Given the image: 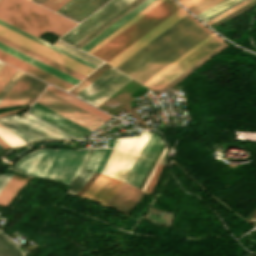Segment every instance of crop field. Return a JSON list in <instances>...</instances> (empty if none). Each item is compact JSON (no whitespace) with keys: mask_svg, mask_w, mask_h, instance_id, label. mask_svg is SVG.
I'll list each match as a JSON object with an SVG mask.
<instances>
[{"mask_svg":"<svg viewBox=\"0 0 256 256\" xmlns=\"http://www.w3.org/2000/svg\"><path fill=\"white\" fill-rule=\"evenodd\" d=\"M106 149L95 150L92 157L90 158L86 169L96 171Z\"/></svg>","mask_w":256,"mask_h":256,"instance_id":"120bbe31","label":"crop field"},{"mask_svg":"<svg viewBox=\"0 0 256 256\" xmlns=\"http://www.w3.org/2000/svg\"><path fill=\"white\" fill-rule=\"evenodd\" d=\"M0 36H3L17 44H20L34 52H37L51 60H54L68 68H71L85 76L89 75L93 69L76 62L60 53H57L43 45H40L26 37H23L7 28L0 26Z\"/></svg>","mask_w":256,"mask_h":256,"instance_id":"3316defc","label":"crop field"},{"mask_svg":"<svg viewBox=\"0 0 256 256\" xmlns=\"http://www.w3.org/2000/svg\"><path fill=\"white\" fill-rule=\"evenodd\" d=\"M54 45H56V46H58V47H60V48H62L64 50H66V51H68V52H70V53H72L74 55H77V56H79V57H81V58H83V59H85V60H87V61H89V62H91V63H93L95 65H97V66H99L100 64L103 63L102 61H100V60H98V59H96L94 57H91V56H89V55H87V54H85L83 52H80V51H78V50H76V49H74V48H72L70 46H67V45H65V44H63V43H61L59 41L54 43Z\"/></svg>","mask_w":256,"mask_h":256,"instance_id":"bd1437ed","label":"crop field"},{"mask_svg":"<svg viewBox=\"0 0 256 256\" xmlns=\"http://www.w3.org/2000/svg\"><path fill=\"white\" fill-rule=\"evenodd\" d=\"M13 175L10 173L0 174V191L7 184Z\"/></svg>","mask_w":256,"mask_h":256,"instance_id":"b80d0937","label":"crop field"},{"mask_svg":"<svg viewBox=\"0 0 256 256\" xmlns=\"http://www.w3.org/2000/svg\"><path fill=\"white\" fill-rule=\"evenodd\" d=\"M242 1L244 0H224L196 16L205 22Z\"/></svg>","mask_w":256,"mask_h":256,"instance_id":"4177f3b9","label":"crop field"},{"mask_svg":"<svg viewBox=\"0 0 256 256\" xmlns=\"http://www.w3.org/2000/svg\"><path fill=\"white\" fill-rule=\"evenodd\" d=\"M114 142H115V139L108 140L106 153H105V155H104V157H103V159H102V161H101V163H100V165H99V167H98L96 172H100L101 173V171H102V169H103V167H104V165H105V163L107 161V158H108V156H109V154H110V152H111V150H112V148L114 146Z\"/></svg>","mask_w":256,"mask_h":256,"instance_id":"0bd39190","label":"crop field"},{"mask_svg":"<svg viewBox=\"0 0 256 256\" xmlns=\"http://www.w3.org/2000/svg\"><path fill=\"white\" fill-rule=\"evenodd\" d=\"M150 136L151 133L142 130L139 136L117 139L102 174L124 181ZM102 174L84 192L82 198L105 205L124 183Z\"/></svg>","mask_w":256,"mask_h":256,"instance_id":"ac0d7876","label":"crop field"},{"mask_svg":"<svg viewBox=\"0 0 256 256\" xmlns=\"http://www.w3.org/2000/svg\"><path fill=\"white\" fill-rule=\"evenodd\" d=\"M0 150H2V148L0 147Z\"/></svg>","mask_w":256,"mask_h":256,"instance_id":"5d738f31","label":"crop field"},{"mask_svg":"<svg viewBox=\"0 0 256 256\" xmlns=\"http://www.w3.org/2000/svg\"><path fill=\"white\" fill-rule=\"evenodd\" d=\"M108 68H110V66L104 64L69 92L76 96L84 88H86L90 83H92L96 78H98L102 73H104Z\"/></svg>","mask_w":256,"mask_h":256,"instance_id":"d3111659","label":"crop field"},{"mask_svg":"<svg viewBox=\"0 0 256 256\" xmlns=\"http://www.w3.org/2000/svg\"><path fill=\"white\" fill-rule=\"evenodd\" d=\"M163 0H157L153 4H151L149 7H147L145 10H143L141 13H139L137 16H135L133 19H131L129 22H127L125 25H123L121 28H119L117 31H115L113 34H111L109 37H107L105 40H103L101 43H99L97 46H95L93 49H91L88 53H93L95 50H97L99 47H101L103 44L108 42L110 39H112L114 36H116L118 33L123 31L125 28H127L129 25H131L133 22H135L137 19L142 17L144 14H146L148 11H150L152 8L157 6L159 3H161Z\"/></svg>","mask_w":256,"mask_h":256,"instance_id":"ae1a2a85","label":"crop field"},{"mask_svg":"<svg viewBox=\"0 0 256 256\" xmlns=\"http://www.w3.org/2000/svg\"><path fill=\"white\" fill-rule=\"evenodd\" d=\"M179 8L181 7L177 6L172 0L163 1L92 55L104 61H110Z\"/></svg>","mask_w":256,"mask_h":256,"instance_id":"412701ff","label":"crop field"},{"mask_svg":"<svg viewBox=\"0 0 256 256\" xmlns=\"http://www.w3.org/2000/svg\"><path fill=\"white\" fill-rule=\"evenodd\" d=\"M36 102L54 110L55 112L92 131L105 122L46 90L42 93Z\"/></svg>","mask_w":256,"mask_h":256,"instance_id":"d8731c3e","label":"crop field"},{"mask_svg":"<svg viewBox=\"0 0 256 256\" xmlns=\"http://www.w3.org/2000/svg\"><path fill=\"white\" fill-rule=\"evenodd\" d=\"M25 117L9 116L0 119V124L26 142L38 139H73V137L24 113Z\"/></svg>","mask_w":256,"mask_h":256,"instance_id":"dd49c442","label":"crop field"},{"mask_svg":"<svg viewBox=\"0 0 256 256\" xmlns=\"http://www.w3.org/2000/svg\"><path fill=\"white\" fill-rule=\"evenodd\" d=\"M68 151L65 149H39L18 160L14 167L30 176L53 180L60 171Z\"/></svg>","mask_w":256,"mask_h":256,"instance_id":"f4fd0767","label":"crop field"},{"mask_svg":"<svg viewBox=\"0 0 256 256\" xmlns=\"http://www.w3.org/2000/svg\"><path fill=\"white\" fill-rule=\"evenodd\" d=\"M89 151H70L61 171L55 177L54 181L70 184L81 170Z\"/></svg>","mask_w":256,"mask_h":256,"instance_id":"4a817a6b","label":"crop field"},{"mask_svg":"<svg viewBox=\"0 0 256 256\" xmlns=\"http://www.w3.org/2000/svg\"><path fill=\"white\" fill-rule=\"evenodd\" d=\"M210 33L188 14L116 68L143 84Z\"/></svg>","mask_w":256,"mask_h":256,"instance_id":"8a807250","label":"crop field"},{"mask_svg":"<svg viewBox=\"0 0 256 256\" xmlns=\"http://www.w3.org/2000/svg\"><path fill=\"white\" fill-rule=\"evenodd\" d=\"M154 1L155 0H144L139 5L130 10L128 13H126L124 16H122L120 19H118L116 22H114L112 25H110L108 28H106L104 31H102L85 45H83L80 49L87 52Z\"/></svg>","mask_w":256,"mask_h":256,"instance_id":"bc2a9ffb","label":"crop field"},{"mask_svg":"<svg viewBox=\"0 0 256 256\" xmlns=\"http://www.w3.org/2000/svg\"><path fill=\"white\" fill-rule=\"evenodd\" d=\"M0 60L4 61L10 65H13L29 74H32L46 82H49L65 91H69L71 88L74 87V85H72L58 77H55L39 68H36L18 58H15L1 50H0Z\"/></svg>","mask_w":256,"mask_h":256,"instance_id":"d9b57169","label":"crop field"},{"mask_svg":"<svg viewBox=\"0 0 256 256\" xmlns=\"http://www.w3.org/2000/svg\"><path fill=\"white\" fill-rule=\"evenodd\" d=\"M28 179L13 176L8 184L0 192V204L8 207L16 195L23 188Z\"/></svg>","mask_w":256,"mask_h":256,"instance_id":"92a150f3","label":"crop field"},{"mask_svg":"<svg viewBox=\"0 0 256 256\" xmlns=\"http://www.w3.org/2000/svg\"><path fill=\"white\" fill-rule=\"evenodd\" d=\"M4 63L0 62V69L3 67Z\"/></svg>","mask_w":256,"mask_h":256,"instance_id":"b54c1fbb","label":"crop field"},{"mask_svg":"<svg viewBox=\"0 0 256 256\" xmlns=\"http://www.w3.org/2000/svg\"><path fill=\"white\" fill-rule=\"evenodd\" d=\"M0 256H25V255L19 247L9 242L0 233Z\"/></svg>","mask_w":256,"mask_h":256,"instance_id":"eef30255","label":"crop field"},{"mask_svg":"<svg viewBox=\"0 0 256 256\" xmlns=\"http://www.w3.org/2000/svg\"><path fill=\"white\" fill-rule=\"evenodd\" d=\"M0 146H1L3 149L10 147V146L7 145L1 138H0Z\"/></svg>","mask_w":256,"mask_h":256,"instance_id":"03da06ac","label":"crop field"},{"mask_svg":"<svg viewBox=\"0 0 256 256\" xmlns=\"http://www.w3.org/2000/svg\"><path fill=\"white\" fill-rule=\"evenodd\" d=\"M23 72L17 70L16 73L12 76L9 82L5 85V87L0 92V102L5 97V95L9 92V90L14 86V84L18 81V79L22 76Z\"/></svg>","mask_w":256,"mask_h":256,"instance_id":"5866460e","label":"crop field"},{"mask_svg":"<svg viewBox=\"0 0 256 256\" xmlns=\"http://www.w3.org/2000/svg\"><path fill=\"white\" fill-rule=\"evenodd\" d=\"M222 43H224V42L221 38H219L217 35L214 36L212 39H210L208 42H206L204 45H202L200 48H198L196 51H194L192 54H190L184 60L179 62L177 65H175L173 68H171L169 71H167L165 74H163L161 77H159L157 80H155L153 83H151L147 87H149L151 89L163 88L165 85H167L173 79L178 77L180 74H182L188 68L193 66L195 63H197L199 60H201L207 54H209L214 49H216L218 46H220Z\"/></svg>","mask_w":256,"mask_h":256,"instance_id":"28ad6ade","label":"crop field"},{"mask_svg":"<svg viewBox=\"0 0 256 256\" xmlns=\"http://www.w3.org/2000/svg\"><path fill=\"white\" fill-rule=\"evenodd\" d=\"M251 1H253V0H246V1L242 2V3H240L239 5H237V6L233 7V8H231V9L227 10L226 12H224V13H222V14L216 16L215 18H213V19H211V20H209V21H207V22H205V23H207V24L209 25V24H211V23L217 21L218 19H220V18H222V17L228 15L229 13H231V12L237 10L238 8H240V7H242V6L246 5V4H248V3L251 2Z\"/></svg>","mask_w":256,"mask_h":256,"instance_id":"e1f06a70","label":"crop field"},{"mask_svg":"<svg viewBox=\"0 0 256 256\" xmlns=\"http://www.w3.org/2000/svg\"><path fill=\"white\" fill-rule=\"evenodd\" d=\"M220 1H222V0H202L187 9H189L191 12H193L196 15V14L206 10L207 8L217 4Z\"/></svg>","mask_w":256,"mask_h":256,"instance_id":"1d83c4d3","label":"crop field"},{"mask_svg":"<svg viewBox=\"0 0 256 256\" xmlns=\"http://www.w3.org/2000/svg\"><path fill=\"white\" fill-rule=\"evenodd\" d=\"M215 34H210L208 37H206L204 40H202L200 43H198L196 46H194L192 49H190L188 52H186L184 55H182L180 58L175 60L173 63H171L169 66H167L165 69H163L161 72H159L157 75H155L153 78H151L149 81H147L144 85H149L151 82H153L155 79H157L159 76H161L163 73H165L167 70H169L171 67H173L175 64H177L179 61L184 59L186 56H188L190 53H192L194 50H196L198 47H200L202 44H204L206 41H208L210 38H212Z\"/></svg>","mask_w":256,"mask_h":256,"instance_id":"750c4746","label":"crop field"},{"mask_svg":"<svg viewBox=\"0 0 256 256\" xmlns=\"http://www.w3.org/2000/svg\"><path fill=\"white\" fill-rule=\"evenodd\" d=\"M0 42L9 46V47H11V48H13V49H16V50L20 51V52H22V53H24V54H26V55L34 58V59L46 64V65H49V66L65 73V74L75 78V79H78V80L81 81L82 79L85 78V76H83V75H81V74H79V73H77V72H75L71 69H68V68H66V67H64V66H62V65H60V64H58L54 61H51V60H49V59H47V58H45V57H43V56H41L37 53H34V52H32V51H30V50H28V49H26V48H24L20 45H17L15 43L3 38V37H0Z\"/></svg>","mask_w":256,"mask_h":256,"instance_id":"214f88e0","label":"crop field"},{"mask_svg":"<svg viewBox=\"0 0 256 256\" xmlns=\"http://www.w3.org/2000/svg\"><path fill=\"white\" fill-rule=\"evenodd\" d=\"M29 113L79 139L92 132L36 102L29 110Z\"/></svg>","mask_w":256,"mask_h":256,"instance_id":"cbeb9de0","label":"crop field"},{"mask_svg":"<svg viewBox=\"0 0 256 256\" xmlns=\"http://www.w3.org/2000/svg\"><path fill=\"white\" fill-rule=\"evenodd\" d=\"M75 0H70L65 5H63L61 8H59L56 12H61L63 9H65L67 6H69L71 3H73Z\"/></svg>","mask_w":256,"mask_h":256,"instance_id":"c21b1889","label":"crop field"},{"mask_svg":"<svg viewBox=\"0 0 256 256\" xmlns=\"http://www.w3.org/2000/svg\"><path fill=\"white\" fill-rule=\"evenodd\" d=\"M180 3H182L186 8L195 4L196 2L200 0H178Z\"/></svg>","mask_w":256,"mask_h":256,"instance_id":"c035e120","label":"crop field"},{"mask_svg":"<svg viewBox=\"0 0 256 256\" xmlns=\"http://www.w3.org/2000/svg\"><path fill=\"white\" fill-rule=\"evenodd\" d=\"M92 152L93 150L90 151L82 170L77 175V177L72 181L71 183L72 186L70 185L71 187L69 188L67 193L75 195L86 184V182L95 174L92 171L84 169Z\"/></svg>","mask_w":256,"mask_h":256,"instance_id":"730fd06b","label":"crop field"},{"mask_svg":"<svg viewBox=\"0 0 256 256\" xmlns=\"http://www.w3.org/2000/svg\"><path fill=\"white\" fill-rule=\"evenodd\" d=\"M0 25H2L4 27H7V28H9V29H11V30H13V31L23 35V36H26V37H28V38H30V39H32V40H34V41H36V42H38L40 44H43V45H45V46H47V47H49V48H51V49H53V50H55L57 52H60V53L66 55V56H68V57H70V58H72V59H74L76 61H79V62H81V63H83V64H85V65H87V66H89V67H91L93 69L97 68V66H95V65H93V64H91L89 62H87V61H85V60H83V59H81L79 57H76V56H74V55H72V54H70V53H68V52H66V51H64V50H62L60 48H57V47H55V46H53V45H51V44H49V43L39 39V38H36V37H34V36L24 32V31H21V30L15 28L13 26L7 24V23H4V22L0 21Z\"/></svg>","mask_w":256,"mask_h":256,"instance_id":"a9b5d70f","label":"crop field"},{"mask_svg":"<svg viewBox=\"0 0 256 256\" xmlns=\"http://www.w3.org/2000/svg\"><path fill=\"white\" fill-rule=\"evenodd\" d=\"M131 80L111 67L77 97L98 107Z\"/></svg>","mask_w":256,"mask_h":256,"instance_id":"e52e79f7","label":"crop field"},{"mask_svg":"<svg viewBox=\"0 0 256 256\" xmlns=\"http://www.w3.org/2000/svg\"><path fill=\"white\" fill-rule=\"evenodd\" d=\"M46 85V83L24 73L2 100L0 107L15 104H32Z\"/></svg>","mask_w":256,"mask_h":256,"instance_id":"d1516ede","label":"crop field"},{"mask_svg":"<svg viewBox=\"0 0 256 256\" xmlns=\"http://www.w3.org/2000/svg\"><path fill=\"white\" fill-rule=\"evenodd\" d=\"M0 49L5 51V52H7V53H9V54H11V55H13V56H15V57H18V58H20V59H22V60H24V61H26V62L34 65V66H36V67H39V68H41V69H43V70H45V71H47V72H49V73H51V74H53L55 76H58V77L66 80V81H68V82H70V83H72L74 85H76L80 81V80L77 81L78 79L75 80V79H73V78H71V77H69V76H67V75H65V74H63V73H61V72H59V71L49 67V66H46V65H44V64H42V63H40V62H38V61H36V60L26 56V55H24V54H22V53H20V52H18L16 50H13V49H11V48H9V47L1 44V43H0Z\"/></svg>","mask_w":256,"mask_h":256,"instance_id":"dafd665d","label":"crop field"},{"mask_svg":"<svg viewBox=\"0 0 256 256\" xmlns=\"http://www.w3.org/2000/svg\"><path fill=\"white\" fill-rule=\"evenodd\" d=\"M46 90L60 96L61 98L75 104L76 106L90 112L91 114H93V115H95V116H97V117H99V118H101L105 121L108 120L111 117L108 114L90 106L89 104H87V103H85V102H83V101H81V100L63 92V91H61V90H58V89H56L52 86H48V88Z\"/></svg>","mask_w":256,"mask_h":256,"instance_id":"00972430","label":"crop field"},{"mask_svg":"<svg viewBox=\"0 0 256 256\" xmlns=\"http://www.w3.org/2000/svg\"><path fill=\"white\" fill-rule=\"evenodd\" d=\"M144 193L142 190L124 183L106 205L128 215Z\"/></svg>","mask_w":256,"mask_h":256,"instance_id":"733c2abd","label":"crop field"},{"mask_svg":"<svg viewBox=\"0 0 256 256\" xmlns=\"http://www.w3.org/2000/svg\"><path fill=\"white\" fill-rule=\"evenodd\" d=\"M0 20L36 37L45 30L61 36L77 25L28 0H0Z\"/></svg>","mask_w":256,"mask_h":256,"instance_id":"34b2d1b8","label":"crop field"},{"mask_svg":"<svg viewBox=\"0 0 256 256\" xmlns=\"http://www.w3.org/2000/svg\"><path fill=\"white\" fill-rule=\"evenodd\" d=\"M16 69L4 65V67L0 70V90L4 87V85L8 82L11 76L15 73Z\"/></svg>","mask_w":256,"mask_h":256,"instance_id":"d32e631a","label":"crop field"},{"mask_svg":"<svg viewBox=\"0 0 256 256\" xmlns=\"http://www.w3.org/2000/svg\"><path fill=\"white\" fill-rule=\"evenodd\" d=\"M69 0H46L41 5L55 11Z\"/></svg>","mask_w":256,"mask_h":256,"instance_id":"028f5c9d","label":"crop field"},{"mask_svg":"<svg viewBox=\"0 0 256 256\" xmlns=\"http://www.w3.org/2000/svg\"><path fill=\"white\" fill-rule=\"evenodd\" d=\"M186 14H188V13L183 11L182 8L179 9L177 12H175L173 15H171L169 18H167L165 21H163L161 24H159L157 27H155L153 30H151L149 33H147L145 36L140 38L138 41H136L134 44H132L130 47H128L126 50H124L122 53H120L118 56H116L114 59H112L108 63L112 64L115 67L118 66L120 63H122L124 60H126L128 57H130L136 51L141 49L143 46H145L147 43H149L151 40H153L155 37H157L163 31L168 29L170 26H172L174 23H176L178 20H180Z\"/></svg>","mask_w":256,"mask_h":256,"instance_id":"5142ce71","label":"crop field"},{"mask_svg":"<svg viewBox=\"0 0 256 256\" xmlns=\"http://www.w3.org/2000/svg\"><path fill=\"white\" fill-rule=\"evenodd\" d=\"M131 1L133 0H111L60 39L71 45L75 44Z\"/></svg>","mask_w":256,"mask_h":256,"instance_id":"5a996713","label":"crop field"},{"mask_svg":"<svg viewBox=\"0 0 256 256\" xmlns=\"http://www.w3.org/2000/svg\"><path fill=\"white\" fill-rule=\"evenodd\" d=\"M163 141L161 138L152 134L149 139L147 145L142 150L138 159L132 166L129 174L127 175L124 182L139 187L145 173L147 172L153 158L163 145Z\"/></svg>","mask_w":256,"mask_h":256,"instance_id":"22f410ed","label":"crop field"}]
</instances>
